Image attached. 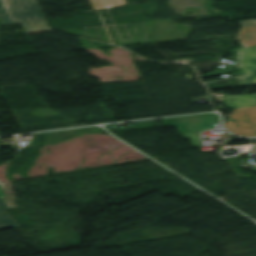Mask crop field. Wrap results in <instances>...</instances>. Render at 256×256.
<instances>
[{
  "label": "crop field",
  "mask_w": 256,
  "mask_h": 256,
  "mask_svg": "<svg viewBox=\"0 0 256 256\" xmlns=\"http://www.w3.org/2000/svg\"><path fill=\"white\" fill-rule=\"evenodd\" d=\"M4 194L2 190L0 189V212L5 210L7 208V204L5 203L4 199Z\"/></svg>",
  "instance_id": "9"
},
{
  "label": "crop field",
  "mask_w": 256,
  "mask_h": 256,
  "mask_svg": "<svg viewBox=\"0 0 256 256\" xmlns=\"http://www.w3.org/2000/svg\"><path fill=\"white\" fill-rule=\"evenodd\" d=\"M14 23H24L26 30L49 28L37 0H4Z\"/></svg>",
  "instance_id": "1"
},
{
  "label": "crop field",
  "mask_w": 256,
  "mask_h": 256,
  "mask_svg": "<svg viewBox=\"0 0 256 256\" xmlns=\"http://www.w3.org/2000/svg\"><path fill=\"white\" fill-rule=\"evenodd\" d=\"M14 24L3 2L0 0V25Z\"/></svg>",
  "instance_id": "7"
},
{
  "label": "crop field",
  "mask_w": 256,
  "mask_h": 256,
  "mask_svg": "<svg viewBox=\"0 0 256 256\" xmlns=\"http://www.w3.org/2000/svg\"><path fill=\"white\" fill-rule=\"evenodd\" d=\"M224 126L237 136H256V106L235 109Z\"/></svg>",
  "instance_id": "2"
},
{
  "label": "crop field",
  "mask_w": 256,
  "mask_h": 256,
  "mask_svg": "<svg viewBox=\"0 0 256 256\" xmlns=\"http://www.w3.org/2000/svg\"><path fill=\"white\" fill-rule=\"evenodd\" d=\"M227 101L222 102L224 106L231 108H242L256 105V94L226 97Z\"/></svg>",
  "instance_id": "5"
},
{
  "label": "crop field",
  "mask_w": 256,
  "mask_h": 256,
  "mask_svg": "<svg viewBox=\"0 0 256 256\" xmlns=\"http://www.w3.org/2000/svg\"><path fill=\"white\" fill-rule=\"evenodd\" d=\"M0 216V230L17 226V224L10 218V216L5 211L1 212Z\"/></svg>",
  "instance_id": "8"
},
{
  "label": "crop field",
  "mask_w": 256,
  "mask_h": 256,
  "mask_svg": "<svg viewBox=\"0 0 256 256\" xmlns=\"http://www.w3.org/2000/svg\"><path fill=\"white\" fill-rule=\"evenodd\" d=\"M243 25L238 38L243 47L256 46V19L239 22Z\"/></svg>",
  "instance_id": "4"
},
{
  "label": "crop field",
  "mask_w": 256,
  "mask_h": 256,
  "mask_svg": "<svg viewBox=\"0 0 256 256\" xmlns=\"http://www.w3.org/2000/svg\"><path fill=\"white\" fill-rule=\"evenodd\" d=\"M237 56L239 85H256V47L237 49Z\"/></svg>",
  "instance_id": "3"
},
{
  "label": "crop field",
  "mask_w": 256,
  "mask_h": 256,
  "mask_svg": "<svg viewBox=\"0 0 256 256\" xmlns=\"http://www.w3.org/2000/svg\"><path fill=\"white\" fill-rule=\"evenodd\" d=\"M92 9H101L125 4V0H88Z\"/></svg>",
  "instance_id": "6"
}]
</instances>
